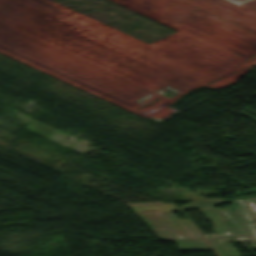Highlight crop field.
Returning <instances> with one entry per match:
<instances>
[{"label": "crop field", "instance_id": "obj_1", "mask_svg": "<svg viewBox=\"0 0 256 256\" xmlns=\"http://www.w3.org/2000/svg\"><path fill=\"white\" fill-rule=\"evenodd\" d=\"M143 222L161 239L178 243L180 250L210 249L203 239L177 240L173 234L186 238L202 237L187 221H179L170 210L177 209L174 203L130 206ZM167 227L169 230H164Z\"/></svg>", "mask_w": 256, "mask_h": 256}, {"label": "crop field", "instance_id": "obj_2", "mask_svg": "<svg viewBox=\"0 0 256 256\" xmlns=\"http://www.w3.org/2000/svg\"><path fill=\"white\" fill-rule=\"evenodd\" d=\"M238 208L237 211L228 209L202 208V212L215 224V232L218 235L225 234L230 231L233 235L246 234V236L236 237L237 241L248 240L253 248L256 249V225L243 201V199H235ZM227 218L235 228H229L222 220Z\"/></svg>", "mask_w": 256, "mask_h": 256}, {"label": "crop field", "instance_id": "obj_3", "mask_svg": "<svg viewBox=\"0 0 256 256\" xmlns=\"http://www.w3.org/2000/svg\"><path fill=\"white\" fill-rule=\"evenodd\" d=\"M207 241L220 256H239L235 249L227 242L229 237L208 238Z\"/></svg>", "mask_w": 256, "mask_h": 256}, {"label": "crop field", "instance_id": "obj_4", "mask_svg": "<svg viewBox=\"0 0 256 256\" xmlns=\"http://www.w3.org/2000/svg\"><path fill=\"white\" fill-rule=\"evenodd\" d=\"M232 202V199H217V200H203V201H195L194 205L185 206L184 209L191 208H202V207H211V205H217L219 203Z\"/></svg>", "mask_w": 256, "mask_h": 256}, {"label": "crop field", "instance_id": "obj_5", "mask_svg": "<svg viewBox=\"0 0 256 256\" xmlns=\"http://www.w3.org/2000/svg\"><path fill=\"white\" fill-rule=\"evenodd\" d=\"M255 219H256V197H252V198H245Z\"/></svg>", "mask_w": 256, "mask_h": 256}]
</instances>
